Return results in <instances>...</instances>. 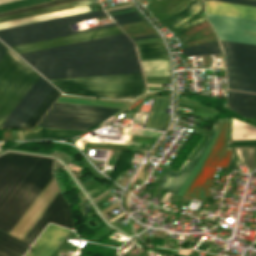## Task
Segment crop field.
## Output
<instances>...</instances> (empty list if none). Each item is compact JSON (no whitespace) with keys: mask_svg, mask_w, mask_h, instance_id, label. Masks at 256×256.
<instances>
[{"mask_svg":"<svg viewBox=\"0 0 256 256\" xmlns=\"http://www.w3.org/2000/svg\"><path fill=\"white\" fill-rule=\"evenodd\" d=\"M20 56L46 79L141 72L135 46L124 33Z\"/></svg>","mask_w":256,"mask_h":256,"instance_id":"obj_1","label":"crop field"},{"mask_svg":"<svg viewBox=\"0 0 256 256\" xmlns=\"http://www.w3.org/2000/svg\"><path fill=\"white\" fill-rule=\"evenodd\" d=\"M66 94L132 99L146 91L141 73L48 80Z\"/></svg>","mask_w":256,"mask_h":256,"instance_id":"obj_2","label":"crop field"},{"mask_svg":"<svg viewBox=\"0 0 256 256\" xmlns=\"http://www.w3.org/2000/svg\"><path fill=\"white\" fill-rule=\"evenodd\" d=\"M0 125L40 76L0 42Z\"/></svg>","mask_w":256,"mask_h":256,"instance_id":"obj_3","label":"crop field"},{"mask_svg":"<svg viewBox=\"0 0 256 256\" xmlns=\"http://www.w3.org/2000/svg\"><path fill=\"white\" fill-rule=\"evenodd\" d=\"M106 15L107 14L103 10H100V11H95V12H90V13H85V14H80V15H75L70 17H64V18L19 26V27L3 29V30H0V39L9 47H12L17 45L37 42L41 40L115 26L116 24H113V25H108V26H103L98 28L72 32V33H69V30L66 26V24H69V23L79 22L84 19L106 16Z\"/></svg>","mask_w":256,"mask_h":256,"instance_id":"obj_4","label":"crop field"},{"mask_svg":"<svg viewBox=\"0 0 256 256\" xmlns=\"http://www.w3.org/2000/svg\"><path fill=\"white\" fill-rule=\"evenodd\" d=\"M52 159L43 157L0 214V230L10 233L29 206L53 177Z\"/></svg>","mask_w":256,"mask_h":256,"instance_id":"obj_5","label":"crop field"},{"mask_svg":"<svg viewBox=\"0 0 256 256\" xmlns=\"http://www.w3.org/2000/svg\"><path fill=\"white\" fill-rule=\"evenodd\" d=\"M59 94L58 90L40 76L1 128H33Z\"/></svg>","mask_w":256,"mask_h":256,"instance_id":"obj_6","label":"crop field"},{"mask_svg":"<svg viewBox=\"0 0 256 256\" xmlns=\"http://www.w3.org/2000/svg\"><path fill=\"white\" fill-rule=\"evenodd\" d=\"M229 119H219L216 129V137L214 143L202 162L200 168L195 174L191 184L184 193V197L198 199L204 201L209 191L213 174L216 166H227L229 156L231 153L230 148H227L229 140Z\"/></svg>","mask_w":256,"mask_h":256,"instance_id":"obj_7","label":"crop field"},{"mask_svg":"<svg viewBox=\"0 0 256 256\" xmlns=\"http://www.w3.org/2000/svg\"><path fill=\"white\" fill-rule=\"evenodd\" d=\"M221 43L225 52L228 88L256 93V45Z\"/></svg>","mask_w":256,"mask_h":256,"instance_id":"obj_8","label":"crop field"},{"mask_svg":"<svg viewBox=\"0 0 256 256\" xmlns=\"http://www.w3.org/2000/svg\"><path fill=\"white\" fill-rule=\"evenodd\" d=\"M118 109L55 102L38 125L86 130Z\"/></svg>","mask_w":256,"mask_h":256,"instance_id":"obj_9","label":"crop field"},{"mask_svg":"<svg viewBox=\"0 0 256 256\" xmlns=\"http://www.w3.org/2000/svg\"><path fill=\"white\" fill-rule=\"evenodd\" d=\"M219 39L256 44V20L207 13Z\"/></svg>","mask_w":256,"mask_h":256,"instance_id":"obj_10","label":"crop field"},{"mask_svg":"<svg viewBox=\"0 0 256 256\" xmlns=\"http://www.w3.org/2000/svg\"><path fill=\"white\" fill-rule=\"evenodd\" d=\"M37 156L8 152L0 156V204Z\"/></svg>","mask_w":256,"mask_h":256,"instance_id":"obj_11","label":"crop field"},{"mask_svg":"<svg viewBox=\"0 0 256 256\" xmlns=\"http://www.w3.org/2000/svg\"><path fill=\"white\" fill-rule=\"evenodd\" d=\"M48 221L72 229L70 208L60 192L34 224L23 241L32 244Z\"/></svg>","mask_w":256,"mask_h":256,"instance_id":"obj_12","label":"crop field"},{"mask_svg":"<svg viewBox=\"0 0 256 256\" xmlns=\"http://www.w3.org/2000/svg\"><path fill=\"white\" fill-rule=\"evenodd\" d=\"M58 191L54 178H52L32 206L11 231L10 235L22 240Z\"/></svg>","mask_w":256,"mask_h":256,"instance_id":"obj_13","label":"crop field"},{"mask_svg":"<svg viewBox=\"0 0 256 256\" xmlns=\"http://www.w3.org/2000/svg\"><path fill=\"white\" fill-rule=\"evenodd\" d=\"M121 32L122 31L120 30V28L118 26H115V27L95 30V31H91V32H86V33H81V34L41 41V42H37V43L12 47L11 49L14 50L17 54H20V53L30 52V51H34V50L54 47V46L78 42V41H83V40H87V39L107 36V35L121 33Z\"/></svg>","mask_w":256,"mask_h":256,"instance_id":"obj_14","label":"crop field"},{"mask_svg":"<svg viewBox=\"0 0 256 256\" xmlns=\"http://www.w3.org/2000/svg\"><path fill=\"white\" fill-rule=\"evenodd\" d=\"M68 232L69 229L55 226L52 224L48 225L25 256H29V254L33 251L40 239L42 240L30 256H34L44 244L45 245L37 253L36 256H50L53 250L57 248V246L60 244V242L63 240Z\"/></svg>","mask_w":256,"mask_h":256,"instance_id":"obj_15","label":"crop field"},{"mask_svg":"<svg viewBox=\"0 0 256 256\" xmlns=\"http://www.w3.org/2000/svg\"><path fill=\"white\" fill-rule=\"evenodd\" d=\"M188 4V3H187ZM201 8V0H191L187 6H185L181 11L177 12L169 19H165L166 21L162 22L166 25L172 32L178 34L204 20V16L201 14L191 21L187 22L183 26H181L186 20L190 17L196 15ZM181 26V27H180ZM180 27V28H178ZM178 28V29H177Z\"/></svg>","mask_w":256,"mask_h":256,"instance_id":"obj_16","label":"crop field"},{"mask_svg":"<svg viewBox=\"0 0 256 256\" xmlns=\"http://www.w3.org/2000/svg\"><path fill=\"white\" fill-rule=\"evenodd\" d=\"M216 122H217V120H216ZM216 122H215V125L213 127L211 135L208 137L206 142L203 144V146L197 152V154L195 155L193 160L191 162L186 161V163L184 164V166L181 168V170L178 173L167 171L163 180L159 184V187H162V188L166 189V191H169V192H172V193H175V194L177 193V191L182 186V184L184 183V181L188 177L189 173L191 172V170L193 169V167L195 166V164L197 163V161L199 160V158L203 154L206 146L210 142V140L213 136L214 130H215Z\"/></svg>","mask_w":256,"mask_h":256,"instance_id":"obj_17","label":"crop field"},{"mask_svg":"<svg viewBox=\"0 0 256 256\" xmlns=\"http://www.w3.org/2000/svg\"><path fill=\"white\" fill-rule=\"evenodd\" d=\"M228 103L243 117L256 118V94L228 91Z\"/></svg>","mask_w":256,"mask_h":256,"instance_id":"obj_18","label":"crop field"},{"mask_svg":"<svg viewBox=\"0 0 256 256\" xmlns=\"http://www.w3.org/2000/svg\"><path fill=\"white\" fill-rule=\"evenodd\" d=\"M207 12L256 19V7L206 1Z\"/></svg>","mask_w":256,"mask_h":256,"instance_id":"obj_19","label":"crop field"},{"mask_svg":"<svg viewBox=\"0 0 256 256\" xmlns=\"http://www.w3.org/2000/svg\"><path fill=\"white\" fill-rule=\"evenodd\" d=\"M90 11H92L90 9V7L85 6V7H80V8H75V9L35 16V17H31V18L1 23L0 29L34 23V22H39V21H44V20H49V19H54V18H59V17H64V16H70V15H75V14H80V13H85V12H90Z\"/></svg>","mask_w":256,"mask_h":256,"instance_id":"obj_20","label":"crop field"},{"mask_svg":"<svg viewBox=\"0 0 256 256\" xmlns=\"http://www.w3.org/2000/svg\"><path fill=\"white\" fill-rule=\"evenodd\" d=\"M145 76H170L168 60L140 61Z\"/></svg>","mask_w":256,"mask_h":256,"instance_id":"obj_21","label":"crop field"},{"mask_svg":"<svg viewBox=\"0 0 256 256\" xmlns=\"http://www.w3.org/2000/svg\"><path fill=\"white\" fill-rule=\"evenodd\" d=\"M2 232V231H1ZM0 232V248L15 255L22 256L28 249V245Z\"/></svg>","mask_w":256,"mask_h":256,"instance_id":"obj_22","label":"crop field"},{"mask_svg":"<svg viewBox=\"0 0 256 256\" xmlns=\"http://www.w3.org/2000/svg\"><path fill=\"white\" fill-rule=\"evenodd\" d=\"M79 133L81 132L40 127L39 130L25 131V139L36 138V137H71Z\"/></svg>","mask_w":256,"mask_h":256,"instance_id":"obj_23","label":"crop field"},{"mask_svg":"<svg viewBox=\"0 0 256 256\" xmlns=\"http://www.w3.org/2000/svg\"><path fill=\"white\" fill-rule=\"evenodd\" d=\"M183 51L185 56L222 53L218 41L185 47Z\"/></svg>","mask_w":256,"mask_h":256,"instance_id":"obj_24","label":"crop field"},{"mask_svg":"<svg viewBox=\"0 0 256 256\" xmlns=\"http://www.w3.org/2000/svg\"><path fill=\"white\" fill-rule=\"evenodd\" d=\"M137 50L140 58L168 57L162 42L137 45Z\"/></svg>","mask_w":256,"mask_h":256,"instance_id":"obj_25","label":"crop field"},{"mask_svg":"<svg viewBox=\"0 0 256 256\" xmlns=\"http://www.w3.org/2000/svg\"><path fill=\"white\" fill-rule=\"evenodd\" d=\"M256 133V127L250 124L241 122L239 120L232 118V135H239V134H254ZM246 136V137H243ZM233 140H240V139H256V134L254 135H239V136H232Z\"/></svg>","mask_w":256,"mask_h":256,"instance_id":"obj_26","label":"crop field"},{"mask_svg":"<svg viewBox=\"0 0 256 256\" xmlns=\"http://www.w3.org/2000/svg\"><path fill=\"white\" fill-rule=\"evenodd\" d=\"M73 7H74V5H73V3H71V4H66V5H61V6H56V7H51V8H46V9H41V10H36V11H31V12H26V13L11 15V16H6V17H1L0 22H5V21H10V20L30 17V16H34V15L59 11V10H63V9L73 8Z\"/></svg>","mask_w":256,"mask_h":256,"instance_id":"obj_27","label":"crop field"},{"mask_svg":"<svg viewBox=\"0 0 256 256\" xmlns=\"http://www.w3.org/2000/svg\"><path fill=\"white\" fill-rule=\"evenodd\" d=\"M76 1H81V0H53V1H50V2L30 5V6L22 7V8H19V9L3 12V13H0V17L1 16H6V15H11V14H16V13H21V12H25V11H30V10H35V9H40V8H45V7L70 3V2H76Z\"/></svg>","mask_w":256,"mask_h":256,"instance_id":"obj_28","label":"crop field"},{"mask_svg":"<svg viewBox=\"0 0 256 256\" xmlns=\"http://www.w3.org/2000/svg\"><path fill=\"white\" fill-rule=\"evenodd\" d=\"M111 17L118 25L142 20H145L146 23L149 24V22L145 18H141L136 11L112 15Z\"/></svg>","mask_w":256,"mask_h":256,"instance_id":"obj_29","label":"crop field"},{"mask_svg":"<svg viewBox=\"0 0 256 256\" xmlns=\"http://www.w3.org/2000/svg\"><path fill=\"white\" fill-rule=\"evenodd\" d=\"M41 158H42L41 156L37 157V159L34 161V163L31 165V167L28 169V171L24 174V176L21 178V180L15 186V188L11 191V193L8 195V197L5 199V201L0 206V212L5 207V205L8 203V201L12 198V196L15 194V192L18 190V188L21 186V184L25 181V179L28 177V175L31 173V171L35 168V166L38 164V162L41 160Z\"/></svg>","mask_w":256,"mask_h":256,"instance_id":"obj_30","label":"crop field"},{"mask_svg":"<svg viewBox=\"0 0 256 256\" xmlns=\"http://www.w3.org/2000/svg\"><path fill=\"white\" fill-rule=\"evenodd\" d=\"M45 1H50V0H20V1L12 2L8 4H3V5H0V12L30 5V4L45 2Z\"/></svg>","mask_w":256,"mask_h":256,"instance_id":"obj_31","label":"crop field"},{"mask_svg":"<svg viewBox=\"0 0 256 256\" xmlns=\"http://www.w3.org/2000/svg\"><path fill=\"white\" fill-rule=\"evenodd\" d=\"M216 134V133H215ZM215 134L213 136V139L212 141L210 142V144L207 146L204 154L202 155V157L200 158V160L198 161V163L196 164V166L194 167V169L192 170L191 174L189 175V177L187 178V180L185 181V183L183 184V186L181 187L180 191L178 192V194H183L185 192V190L187 189L190 181L192 180L198 166L200 165L201 161L203 160L205 154L207 153L208 149L211 147L212 143H213V140H214V137H215Z\"/></svg>","mask_w":256,"mask_h":256,"instance_id":"obj_32","label":"crop field"},{"mask_svg":"<svg viewBox=\"0 0 256 256\" xmlns=\"http://www.w3.org/2000/svg\"><path fill=\"white\" fill-rule=\"evenodd\" d=\"M244 165L248 168L247 147L235 148Z\"/></svg>","mask_w":256,"mask_h":256,"instance_id":"obj_33","label":"crop field"},{"mask_svg":"<svg viewBox=\"0 0 256 256\" xmlns=\"http://www.w3.org/2000/svg\"><path fill=\"white\" fill-rule=\"evenodd\" d=\"M214 1L256 6V0H214Z\"/></svg>","mask_w":256,"mask_h":256,"instance_id":"obj_34","label":"crop field"},{"mask_svg":"<svg viewBox=\"0 0 256 256\" xmlns=\"http://www.w3.org/2000/svg\"><path fill=\"white\" fill-rule=\"evenodd\" d=\"M235 157H236V153H235L234 150H232V154H231V157H230L229 164H228L227 168L233 169L234 163H235Z\"/></svg>","mask_w":256,"mask_h":256,"instance_id":"obj_35","label":"crop field"},{"mask_svg":"<svg viewBox=\"0 0 256 256\" xmlns=\"http://www.w3.org/2000/svg\"><path fill=\"white\" fill-rule=\"evenodd\" d=\"M157 36H159V35L155 34V35H148V36H139V37H133V38H131V40L142 39V38H150V37H157Z\"/></svg>","mask_w":256,"mask_h":256,"instance_id":"obj_36","label":"crop field"},{"mask_svg":"<svg viewBox=\"0 0 256 256\" xmlns=\"http://www.w3.org/2000/svg\"><path fill=\"white\" fill-rule=\"evenodd\" d=\"M133 8H135V6L127 7V8H122V9H117V10H112V11H108L107 13L115 12V11H120V10H126V9H133Z\"/></svg>","mask_w":256,"mask_h":256,"instance_id":"obj_37","label":"crop field"},{"mask_svg":"<svg viewBox=\"0 0 256 256\" xmlns=\"http://www.w3.org/2000/svg\"><path fill=\"white\" fill-rule=\"evenodd\" d=\"M0 256H13V255H11V254H9V253L0 249Z\"/></svg>","mask_w":256,"mask_h":256,"instance_id":"obj_38","label":"crop field"},{"mask_svg":"<svg viewBox=\"0 0 256 256\" xmlns=\"http://www.w3.org/2000/svg\"><path fill=\"white\" fill-rule=\"evenodd\" d=\"M19 133H20V137H21V139H24V138H23L22 131H19ZM19 133H18V131H17L18 140L20 139V137H19Z\"/></svg>","mask_w":256,"mask_h":256,"instance_id":"obj_39","label":"crop field"},{"mask_svg":"<svg viewBox=\"0 0 256 256\" xmlns=\"http://www.w3.org/2000/svg\"><path fill=\"white\" fill-rule=\"evenodd\" d=\"M254 160H255V168H256V147H255V151H254Z\"/></svg>","mask_w":256,"mask_h":256,"instance_id":"obj_40","label":"crop field"},{"mask_svg":"<svg viewBox=\"0 0 256 256\" xmlns=\"http://www.w3.org/2000/svg\"><path fill=\"white\" fill-rule=\"evenodd\" d=\"M154 59H168V58H154ZM154 59H140V60H154Z\"/></svg>","mask_w":256,"mask_h":256,"instance_id":"obj_41","label":"crop field"}]
</instances>
